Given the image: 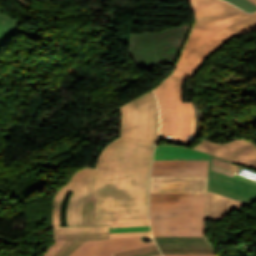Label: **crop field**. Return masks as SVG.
Returning a JSON list of instances; mask_svg holds the SVG:
<instances>
[{
    "mask_svg": "<svg viewBox=\"0 0 256 256\" xmlns=\"http://www.w3.org/2000/svg\"><path fill=\"white\" fill-rule=\"evenodd\" d=\"M108 232V225L53 228V234Z\"/></svg>",
    "mask_w": 256,
    "mask_h": 256,
    "instance_id": "obj_15",
    "label": "crop field"
},
{
    "mask_svg": "<svg viewBox=\"0 0 256 256\" xmlns=\"http://www.w3.org/2000/svg\"><path fill=\"white\" fill-rule=\"evenodd\" d=\"M194 148L256 169V145L248 140L237 139L227 144H215L204 140Z\"/></svg>",
    "mask_w": 256,
    "mask_h": 256,
    "instance_id": "obj_7",
    "label": "crop field"
},
{
    "mask_svg": "<svg viewBox=\"0 0 256 256\" xmlns=\"http://www.w3.org/2000/svg\"><path fill=\"white\" fill-rule=\"evenodd\" d=\"M164 256H217V255L164 254Z\"/></svg>",
    "mask_w": 256,
    "mask_h": 256,
    "instance_id": "obj_25",
    "label": "crop field"
},
{
    "mask_svg": "<svg viewBox=\"0 0 256 256\" xmlns=\"http://www.w3.org/2000/svg\"><path fill=\"white\" fill-rule=\"evenodd\" d=\"M162 253L216 254L204 237H154Z\"/></svg>",
    "mask_w": 256,
    "mask_h": 256,
    "instance_id": "obj_11",
    "label": "crop field"
},
{
    "mask_svg": "<svg viewBox=\"0 0 256 256\" xmlns=\"http://www.w3.org/2000/svg\"><path fill=\"white\" fill-rule=\"evenodd\" d=\"M120 135L155 141L159 132V112L152 91L121 107Z\"/></svg>",
    "mask_w": 256,
    "mask_h": 256,
    "instance_id": "obj_5",
    "label": "crop field"
},
{
    "mask_svg": "<svg viewBox=\"0 0 256 256\" xmlns=\"http://www.w3.org/2000/svg\"><path fill=\"white\" fill-rule=\"evenodd\" d=\"M205 194L151 193L153 236H203Z\"/></svg>",
    "mask_w": 256,
    "mask_h": 256,
    "instance_id": "obj_3",
    "label": "crop field"
},
{
    "mask_svg": "<svg viewBox=\"0 0 256 256\" xmlns=\"http://www.w3.org/2000/svg\"><path fill=\"white\" fill-rule=\"evenodd\" d=\"M191 25L133 35L132 57L140 68L163 64L172 66Z\"/></svg>",
    "mask_w": 256,
    "mask_h": 256,
    "instance_id": "obj_4",
    "label": "crop field"
},
{
    "mask_svg": "<svg viewBox=\"0 0 256 256\" xmlns=\"http://www.w3.org/2000/svg\"><path fill=\"white\" fill-rule=\"evenodd\" d=\"M250 1H252L253 3H255V4H256V0H250Z\"/></svg>",
    "mask_w": 256,
    "mask_h": 256,
    "instance_id": "obj_28",
    "label": "crop field"
},
{
    "mask_svg": "<svg viewBox=\"0 0 256 256\" xmlns=\"http://www.w3.org/2000/svg\"><path fill=\"white\" fill-rule=\"evenodd\" d=\"M97 198L88 194L82 211L83 225L95 224V206Z\"/></svg>",
    "mask_w": 256,
    "mask_h": 256,
    "instance_id": "obj_16",
    "label": "crop field"
},
{
    "mask_svg": "<svg viewBox=\"0 0 256 256\" xmlns=\"http://www.w3.org/2000/svg\"><path fill=\"white\" fill-rule=\"evenodd\" d=\"M209 169L256 185V172L231 164L211 155Z\"/></svg>",
    "mask_w": 256,
    "mask_h": 256,
    "instance_id": "obj_12",
    "label": "crop field"
},
{
    "mask_svg": "<svg viewBox=\"0 0 256 256\" xmlns=\"http://www.w3.org/2000/svg\"><path fill=\"white\" fill-rule=\"evenodd\" d=\"M196 22L174 72L155 89L161 112L159 139L190 144L195 132L192 102H182L186 77L234 37L256 30V12L247 14L223 0H188ZM212 56V55H211Z\"/></svg>",
    "mask_w": 256,
    "mask_h": 256,
    "instance_id": "obj_2",
    "label": "crop field"
},
{
    "mask_svg": "<svg viewBox=\"0 0 256 256\" xmlns=\"http://www.w3.org/2000/svg\"><path fill=\"white\" fill-rule=\"evenodd\" d=\"M227 1L237 5L238 7H240L241 9H243L247 12L256 11V5H254L249 0H227Z\"/></svg>",
    "mask_w": 256,
    "mask_h": 256,
    "instance_id": "obj_19",
    "label": "crop field"
},
{
    "mask_svg": "<svg viewBox=\"0 0 256 256\" xmlns=\"http://www.w3.org/2000/svg\"><path fill=\"white\" fill-rule=\"evenodd\" d=\"M153 150V142L122 137L107 145L95 168L76 171L58 190L53 226H61V205L68 190L73 191L67 209L68 226L82 225L81 210L87 193L98 197L96 224L148 219Z\"/></svg>",
    "mask_w": 256,
    "mask_h": 256,
    "instance_id": "obj_1",
    "label": "crop field"
},
{
    "mask_svg": "<svg viewBox=\"0 0 256 256\" xmlns=\"http://www.w3.org/2000/svg\"><path fill=\"white\" fill-rule=\"evenodd\" d=\"M207 176H151V192L205 193Z\"/></svg>",
    "mask_w": 256,
    "mask_h": 256,
    "instance_id": "obj_10",
    "label": "crop field"
},
{
    "mask_svg": "<svg viewBox=\"0 0 256 256\" xmlns=\"http://www.w3.org/2000/svg\"><path fill=\"white\" fill-rule=\"evenodd\" d=\"M160 251L156 250V251H152V252H148V253H144V254H140V255H135V256H151V255H155V254H159Z\"/></svg>",
    "mask_w": 256,
    "mask_h": 256,
    "instance_id": "obj_26",
    "label": "crop field"
},
{
    "mask_svg": "<svg viewBox=\"0 0 256 256\" xmlns=\"http://www.w3.org/2000/svg\"><path fill=\"white\" fill-rule=\"evenodd\" d=\"M156 256H162V255L160 254V255H156Z\"/></svg>",
    "mask_w": 256,
    "mask_h": 256,
    "instance_id": "obj_29",
    "label": "crop field"
},
{
    "mask_svg": "<svg viewBox=\"0 0 256 256\" xmlns=\"http://www.w3.org/2000/svg\"><path fill=\"white\" fill-rule=\"evenodd\" d=\"M146 236L86 240L70 256H114L113 253L140 248L155 244L154 241L145 242Z\"/></svg>",
    "mask_w": 256,
    "mask_h": 256,
    "instance_id": "obj_8",
    "label": "crop field"
},
{
    "mask_svg": "<svg viewBox=\"0 0 256 256\" xmlns=\"http://www.w3.org/2000/svg\"><path fill=\"white\" fill-rule=\"evenodd\" d=\"M66 241H55L51 247L46 251L44 256H54Z\"/></svg>",
    "mask_w": 256,
    "mask_h": 256,
    "instance_id": "obj_22",
    "label": "crop field"
},
{
    "mask_svg": "<svg viewBox=\"0 0 256 256\" xmlns=\"http://www.w3.org/2000/svg\"><path fill=\"white\" fill-rule=\"evenodd\" d=\"M156 249H157V247H154V248H150V249H145V250L131 252V253L117 255V256H131V255L140 254V253H144V252H148V251H152V250H156Z\"/></svg>",
    "mask_w": 256,
    "mask_h": 256,
    "instance_id": "obj_24",
    "label": "crop field"
},
{
    "mask_svg": "<svg viewBox=\"0 0 256 256\" xmlns=\"http://www.w3.org/2000/svg\"><path fill=\"white\" fill-rule=\"evenodd\" d=\"M208 190L250 203L256 200V186L210 171Z\"/></svg>",
    "mask_w": 256,
    "mask_h": 256,
    "instance_id": "obj_9",
    "label": "crop field"
},
{
    "mask_svg": "<svg viewBox=\"0 0 256 256\" xmlns=\"http://www.w3.org/2000/svg\"><path fill=\"white\" fill-rule=\"evenodd\" d=\"M85 240L67 241L65 245L60 249L56 256H69V254L75 250Z\"/></svg>",
    "mask_w": 256,
    "mask_h": 256,
    "instance_id": "obj_18",
    "label": "crop field"
},
{
    "mask_svg": "<svg viewBox=\"0 0 256 256\" xmlns=\"http://www.w3.org/2000/svg\"><path fill=\"white\" fill-rule=\"evenodd\" d=\"M150 225L148 220L110 223V227Z\"/></svg>",
    "mask_w": 256,
    "mask_h": 256,
    "instance_id": "obj_21",
    "label": "crop field"
},
{
    "mask_svg": "<svg viewBox=\"0 0 256 256\" xmlns=\"http://www.w3.org/2000/svg\"><path fill=\"white\" fill-rule=\"evenodd\" d=\"M135 235H151V232L144 231V232L116 233V234H110V237L135 236Z\"/></svg>",
    "mask_w": 256,
    "mask_h": 256,
    "instance_id": "obj_23",
    "label": "crop field"
},
{
    "mask_svg": "<svg viewBox=\"0 0 256 256\" xmlns=\"http://www.w3.org/2000/svg\"><path fill=\"white\" fill-rule=\"evenodd\" d=\"M150 230V226L110 228V233Z\"/></svg>",
    "mask_w": 256,
    "mask_h": 256,
    "instance_id": "obj_20",
    "label": "crop field"
},
{
    "mask_svg": "<svg viewBox=\"0 0 256 256\" xmlns=\"http://www.w3.org/2000/svg\"><path fill=\"white\" fill-rule=\"evenodd\" d=\"M208 160L201 151L156 146L151 175H207Z\"/></svg>",
    "mask_w": 256,
    "mask_h": 256,
    "instance_id": "obj_6",
    "label": "crop field"
},
{
    "mask_svg": "<svg viewBox=\"0 0 256 256\" xmlns=\"http://www.w3.org/2000/svg\"><path fill=\"white\" fill-rule=\"evenodd\" d=\"M54 240L108 238V233L53 235Z\"/></svg>",
    "mask_w": 256,
    "mask_h": 256,
    "instance_id": "obj_17",
    "label": "crop field"
},
{
    "mask_svg": "<svg viewBox=\"0 0 256 256\" xmlns=\"http://www.w3.org/2000/svg\"><path fill=\"white\" fill-rule=\"evenodd\" d=\"M20 22V20L0 13V47L14 34Z\"/></svg>",
    "mask_w": 256,
    "mask_h": 256,
    "instance_id": "obj_14",
    "label": "crop field"
},
{
    "mask_svg": "<svg viewBox=\"0 0 256 256\" xmlns=\"http://www.w3.org/2000/svg\"><path fill=\"white\" fill-rule=\"evenodd\" d=\"M154 246H156V245L149 246V247H144V248H140V249L150 248V247H154ZM140 249H135V250H130V251H126V252L116 253L115 255H117V254H122V253H127V252H131V251H136V250H140Z\"/></svg>",
    "mask_w": 256,
    "mask_h": 256,
    "instance_id": "obj_27",
    "label": "crop field"
},
{
    "mask_svg": "<svg viewBox=\"0 0 256 256\" xmlns=\"http://www.w3.org/2000/svg\"><path fill=\"white\" fill-rule=\"evenodd\" d=\"M244 204L247 203L208 191L206 215L219 219L229 211Z\"/></svg>",
    "mask_w": 256,
    "mask_h": 256,
    "instance_id": "obj_13",
    "label": "crop field"
}]
</instances>
